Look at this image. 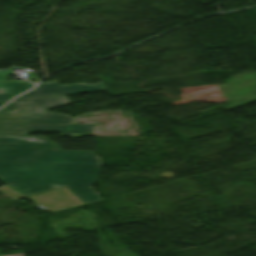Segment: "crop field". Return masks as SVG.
I'll use <instances>...</instances> for the list:
<instances>
[{"mask_svg":"<svg viewBox=\"0 0 256 256\" xmlns=\"http://www.w3.org/2000/svg\"><path fill=\"white\" fill-rule=\"evenodd\" d=\"M36 142H41V143H46L50 146L51 150H61L60 148H58L57 146H55L54 144H52L51 142H49L48 140H46L43 137H36Z\"/></svg>","mask_w":256,"mask_h":256,"instance_id":"crop-field-8","label":"crop field"},{"mask_svg":"<svg viewBox=\"0 0 256 256\" xmlns=\"http://www.w3.org/2000/svg\"><path fill=\"white\" fill-rule=\"evenodd\" d=\"M100 168L93 152L50 151L35 137H0V179L26 195L68 187L86 204L101 200L92 187Z\"/></svg>","mask_w":256,"mask_h":256,"instance_id":"crop-field-1","label":"crop field"},{"mask_svg":"<svg viewBox=\"0 0 256 256\" xmlns=\"http://www.w3.org/2000/svg\"><path fill=\"white\" fill-rule=\"evenodd\" d=\"M37 206L51 210L53 212L84 205L67 188L57 189L47 193L29 197Z\"/></svg>","mask_w":256,"mask_h":256,"instance_id":"crop-field-3","label":"crop field"},{"mask_svg":"<svg viewBox=\"0 0 256 256\" xmlns=\"http://www.w3.org/2000/svg\"><path fill=\"white\" fill-rule=\"evenodd\" d=\"M68 104L66 96L12 102L0 110V136H28L29 125L71 124L72 117L47 112Z\"/></svg>","mask_w":256,"mask_h":256,"instance_id":"crop-field-2","label":"crop field"},{"mask_svg":"<svg viewBox=\"0 0 256 256\" xmlns=\"http://www.w3.org/2000/svg\"><path fill=\"white\" fill-rule=\"evenodd\" d=\"M5 102H2V103H0V106L2 105V104H4Z\"/></svg>","mask_w":256,"mask_h":256,"instance_id":"crop-field-9","label":"crop field"},{"mask_svg":"<svg viewBox=\"0 0 256 256\" xmlns=\"http://www.w3.org/2000/svg\"><path fill=\"white\" fill-rule=\"evenodd\" d=\"M95 125L97 124L30 126L29 130L36 132H59L62 135H84L89 134Z\"/></svg>","mask_w":256,"mask_h":256,"instance_id":"crop-field-6","label":"crop field"},{"mask_svg":"<svg viewBox=\"0 0 256 256\" xmlns=\"http://www.w3.org/2000/svg\"><path fill=\"white\" fill-rule=\"evenodd\" d=\"M0 191L4 192L6 194H9V195H11V196H13V197H15L17 199H20V198H23V197H29V196L22 195V194L14 191V190L8 188L7 186L3 187V188H0Z\"/></svg>","mask_w":256,"mask_h":256,"instance_id":"crop-field-7","label":"crop field"},{"mask_svg":"<svg viewBox=\"0 0 256 256\" xmlns=\"http://www.w3.org/2000/svg\"><path fill=\"white\" fill-rule=\"evenodd\" d=\"M102 90H105L102 84H97V85L75 84V85L61 86L58 84V82H52V83L40 84L32 92L24 94L17 99L102 91Z\"/></svg>","mask_w":256,"mask_h":256,"instance_id":"crop-field-4","label":"crop field"},{"mask_svg":"<svg viewBox=\"0 0 256 256\" xmlns=\"http://www.w3.org/2000/svg\"><path fill=\"white\" fill-rule=\"evenodd\" d=\"M6 75H10L8 70L0 71V101L9 100L34 86L27 81L7 83Z\"/></svg>","mask_w":256,"mask_h":256,"instance_id":"crop-field-5","label":"crop field"}]
</instances>
